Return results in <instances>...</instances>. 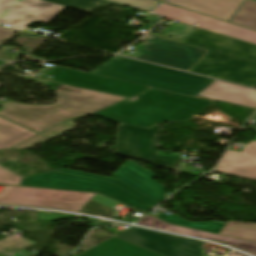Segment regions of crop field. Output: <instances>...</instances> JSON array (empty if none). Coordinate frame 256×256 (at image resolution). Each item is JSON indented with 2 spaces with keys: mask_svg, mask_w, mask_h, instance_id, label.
I'll use <instances>...</instances> for the list:
<instances>
[{
  "mask_svg": "<svg viewBox=\"0 0 256 256\" xmlns=\"http://www.w3.org/2000/svg\"><path fill=\"white\" fill-rule=\"evenodd\" d=\"M135 99H136V96H135V97L130 98L129 100L133 101V100H135Z\"/></svg>",
  "mask_w": 256,
  "mask_h": 256,
  "instance_id": "32",
  "label": "crop field"
},
{
  "mask_svg": "<svg viewBox=\"0 0 256 256\" xmlns=\"http://www.w3.org/2000/svg\"><path fill=\"white\" fill-rule=\"evenodd\" d=\"M50 72L53 76V79L46 78L47 80L128 97H132L152 88L140 84L58 66H55Z\"/></svg>",
  "mask_w": 256,
  "mask_h": 256,
  "instance_id": "11",
  "label": "crop field"
},
{
  "mask_svg": "<svg viewBox=\"0 0 256 256\" xmlns=\"http://www.w3.org/2000/svg\"><path fill=\"white\" fill-rule=\"evenodd\" d=\"M219 234L256 242V223L229 221Z\"/></svg>",
  "mask_w": 256,
  "mask_h": 256,
  "instance_id": "20",
  "label": "crop field"
},
{
  "mask_svg": "<svg viewBox=\"0 0 256 256\" xmlns=\"http://www.w3.org/2000/svg\"><path fill=\"white\" fill-rule=\"evenodd\" d=\"M18 55L6 53L5 47H0V59L12 61L15 60Z\"/></svg>",
  "mask_w": 256,
  "mask_h": 256,
  "instance_id": "29",
  "label": "crop field"
},
{
  "mask_svg": "<svg viewBox=\"0 0 256 256\" xmlns=\"http://www.w3.org/2000/svg\"><path fill=\"white\" fill-rule=\"evenodd\" d=\"M216 170L256 179V141H250L241 153L227 150Z\"/></svg>",
  "mask_w": 256,
  "mask_h": 256,
  "instance_id": "15",
  "label": "crop field"
},
{
  "mask_svg": "<svg viewBox=\"0 0 256 256\" xmlns=\"http://www.w3.org/2000/svg\"><path fill=\"white\" fill-rule=\"evenodd\" d=\"M158 130V125L150 129L120 125L115 153L178 170L180 163L178 155H156L154 134Z\"/></svg>",
  "mask_w": 256,
  "mask_h": 256,
  "instance_id": "7",
  "label": "crop field"
},
{
  "mask_svg": "<svg viewBox=\"0 0 256 256\" xmlns=\"http://www.w3.org/2000/svg\"><path fill=\"white\" fill-rule=\"evenodd\" d=\"M91 72L193 96L214 81L124 57L111 58Z\"/></svg>",
  "mask_w": 256,
  "mask_h": 256,
  "instance_id": "4",
  "label": "crop field"
},
{
  "mask_svg": "<svg viewBox=\"0 0 256 256\" xmlns=\"http://www.w3.org/2000/svg\"><path fill=\"white\" fill-rule=\"evenodd\" d=\"M77 125L75 123H73L71 120L69 121H65L45 132H43V134L49 135V136H53V137H57L73 128H75Z\"/></svg>",
  "mask_w": 256,
  "mask_h": 256,
  "instance_id": "26",
  "label": "crop field"
},
{
  "mask_svg": "<svg viewBox=\"0 0 256 256\" xmlns=\"http://www.w3.org/2000/svg\"><path fill=\"white\" fill-rule=\"evenodd\" d=\"M168 212H170V211H168ZM155 216H157L161 219H164L170 223L187 226V227H191V228H195V229L215 232V233H218L226 225V224L220 223V222H189V221H185V220L179 218L178 216H176L173 213L170 215L161 213V214H157Z\"/></svg>",
  "mask_w": 256,
  "mask_h": 256,
  "instance_id": "22",
  "label": "crop field"
},
{
  "mask_svg": "<svg viewBox=\"0 0 256 256\" xmlns=\"http://www.w3.org/2000/svg\"><path fill=\"white\" fill-rule=\"evenodd\" d=\"M55 92L59 100L54 106L20 105L8 101L0 115L40 132L63 119L89 115L127 99L64 85Z\"/></svg>",
  "mask_w": 256,
  "mask_h": 256,
  "instance_id": "3",
  "label": "crop field"
},
{
  "mask_svg": "<svg viewBox=\"0 0 256 256\" xmlns=\"http://www.w3.org/2000/svg\"><path fill=\"white\" fill-rule=\"evenodd\" d=\"M147 37L152 38L149 40L146 39ZM139 41L144 43L137 49V51L143 54L137 57V59L187 71L207 52V50L149 35Z\"/></svg>",
  "mask_w": 256,
  "mask_h": 256,
  "instance_id": "9",
  "label": "crop field"
},
{
  "mask_svg": "<svg viewBox=\"0 0 256 256\" xmlns=\"http://www.w3.org/2000/svg\"><path fill=\"white\" fill-rule=\"evenodd\" d=\"M149 34L209 50L189 72L256 88V45L199 28L183 41Z\"/></svg>",
  "mask_w": 256,
  "mask_h": 256,
  "instance_id": "1",
  "label": "crop field"
},
{
  "mask_svg": "<svg viewBox=\"0 0 256 256\" xmlns=\"http://www.w3.org/2000/svg\"><path fill=\"white\" fill-rule=\"evenodd\" d=\"M165 256H205L200 253L205 242L133 227L116 236ZM246 256L233 251L227 256Z\"/></svg>",
  "mask_w": 256,
  "mask_h": 256,
  "instance_id": "8",
  "label": "crop field"
},
{
  "mask_svg": "<svg viewBox=\"0 0 256 256\" xmlns=\"http://www.w3.org/2000/svg\"><path fill=\"white\" fill-rule=\"evenodd\" d=\"M14 32H15L14 30L0 27V40L3 38H12ZM0 45H1V43H0Z\"/></svg>",
  "mask_w": 256,
  "mask_h": 256,
  "instance_id": "30",
  "label": "crop field"
},
{
  "mask_svg": "<svg viewBox=\"0 0 256 256\" xmlns=\"http://www.w3.org/2000/svg\"><path fill=\"white\" fill-rule=\"evenodd\" d=\"M0 256H3V255H0Z\"/></svg>",
  "mask_w": 256,
  "mask_h": 256,
  "instance_id": "35",
  "label": "crop field"
},
{
  "mask_svg": "<svg viewBox=\"0 0 256 256\" xmlns=\"http://www.w3.org/2000/svg\"><path fill=\"white\" fill-rule=\"evenodd\" d=\"M95 194L6 186L0 205L36 206L79 212Z\"/></svg>",
  "mask_w": 256,
  "mask_h": 256,
  "instance_id": "6",
  "label": "crop field"
},
{
  "mask_svg": "<svg viewBox=\"0 0 256 256\" xmlns=\"http://www.w3.org/2000/svg\"><path fill=\"white\" fill-rule=\"evenodd\" d=\"M245 252H247V251H245ZM248 253H250V254H252V255L256 256V254H255V253H251V252H248Z\"/></svg>",
  "mask_w": 256,
  "mask_h": 256,
  "instance_id": "33",
  "label": "crop field"
},
{
  "mask_svg": "<svg viewBox=\"0 0 256 256\" xmlns=\"http://www.w3.org/2000/svg\"><path fill=\"white\" fill-rule=\"evenodd\" d=\"M112 176L158 203L166 198L164 186L152 179L157 175L129 159Z\"/></svg>",
  "mask_w": 256,
  "mask_h": 256,
  "instance_id": "13",
  "label": "crop field"
},
{
  "mask_svg": "<svg viewBox=\"0 0 256 256\" xmlns=\"http://www.w3.org/2000/svg\"><path fill=\"white\" fill-rule=\"evenodd\" d=\"M21 185L97 192L144 212L158 204L117 180L65 168L27 177Z\"/></svg>",
  "mask_w": 256,
  "mask_h": 256,
  "instance_id": "5",
  "label": "crop field"
},
{
  "mask_svg": "<svg viewBox=\"0 0 256 256\" xmlns=\"http://www.w3.org/2000/svg\"><path fill=\"white\" fill-rule=\"evenodd\" d=\"M2 240L3 241H0V252L8 255L36 243L34 241L12 237H7Z\"/></svg>",
  "mask_w": 256,
  "mask_h": 256,
  "instance_id": "24",
  "label": "crop field"
},
{
  "mask_svg": "<svg viewBox=\"0 0 256 256\" xmlns=\"http://www.w3.org/2000/svg\"><path fill=\"white\" fill-rule=\"evenodd\" d=\"M230 22L256 30V1L245 0Z\"/></svg>",
  "mask_w": 256,
  "mask_h": 256,
  "instance_id": "21",
  "label": "crop field"
},
{
  "mask_svg": "<svg viewBox=\"0 0 256 256\" xmlns=\"http://www.w3.org/2000/svg\"><path fill=\"white\" fill-rule=\"evenodd\" d=\"M117 3H121L127 6H131L144 11H150L156 7L161 1L157 0H111Z\"/></svg>",
  "mask_w": 256,
  "mask_h": 256,
  "instance_id": "25",
  "label": "crop field"
},
{
  "mask_svg": "<svg viewBox=\"0 0 256 256\" xmlns=\"http://www.w3.org/2000/svg\"><path fill=\"white\" fill-rule=\"evenodd\" d=\"M156 14L188 25L199 24L197 27L227 35L233 38L256 44V31L189 12L169 5H162L155 10Z\"/></svg>",
  "mask_w": 256,
  "mask_h": 256,
  "instance_id": "12",
  "label": "crop field"
},
{
  "mask_svg": "<svg viewBox=\"0 0 256 256\" xmlns=\"http://www.w3.org/2000/svg\"><path fill=\"white\" fill-rule=\"evenodd\" d=\"M65 9L42 0H0V25L24 31L35 20L49 23Z\"/></svg>",
  "mask_w": 256,
  "mask_h": 256,
  "instance_id": "10",
  "label": "crop field"
},
{
  "mask_svg": "<svg viewBox=\"0 0 256 256\" xmlns=\"http://www.w3.org/2000/svg\"><path fill=\"white\" fill-rule=\"evenodd\" d=\"M37 133L0 118V149L11 148Z\"/></svg>",
  "mask_w": 256,
  "mask_h": 256,
  "instance_id": "19",
  "label": "crop field"
},
{
  "mask_svg": "<svg viewBox=\"0 0 256 256\" xmlns=\"http://www.w3.org/2000/svg\"><path fill=\"white\" fill-rule=\"evenodd\" d=\"M23 178L0 166V184L20 185Z\"/></svg>",
  "mask_w": 256,
  "mask_h": 256,
  "instance_id": "27",
  "label": "crop field"
},
{
  "mask_svg": "<svg viewBox=\"0 0 256 256\" xmlns=\"http://www.w3.org/2000/svg\"><path fill=\"white\" fill-rule=\"evenodd\" d=\"M138 224L144 225V226H149V227H154V228H158V229L168 230V231H172V232H177V233H181V234L191 235V236H195V237L205 238V239H214L217 241L231 244L240 249L256 252V243L170 225V224H167V223L160 221L156 218H153L149 215H147L144 219H142L140 222H138Z\"/></svg>",
  "mask_w": 256,
  "mask_h": 256,
  "instance_id": "17",
  "label": "crop field"
},
{
  "mask_svg": "<svg viewBox=\"0 0 256 256\" xmlns=\"http://www.w3.org/2000/svg\"><path fill=\"white\" fill-rule=\"evenodd\" d=\"M244 0H168L174 4L197 12L229 21Z\"/></svg>",
  "mask_w": 256,
  "mask_h": 256,
  "instance_id": "16",
  "label": "crop field"
},
{
  "mask_svg": "<svg viewBox=\"0 0 256 256\" xmlns=\"http://www.w3.org/2000/svg\"><path fill=\"white\" fill-rule=\"evenodd\" d=\"M212 103L153 88L137 95L133 102L126 100L95 114L117 123L148 128L156 123L185 121Z\"/></svg>",
  "mask_w": 256,
  "mask_h": 256,
  "instance_id": "2",
  "label": "crop field"
},
{
  "mask_svg": "<svg viewBox=\"0 0 256 256\" xmlns=\"http://www.w3.org/2000/svg\"><path fill=\"white\" fill-rule=\"evenodd\" d=\"M58 5H62L65 7L81 10V11H89L96 6L108 5L111 2L104 0H45Z\"/></svg>",
  "mask_w": 256,
  "mask_h": 256,
  "instance_id": "23",
  "label": "crop field"
},
{
  "mask_svg": "<svg viewBox=\"0 0 256 256\" xmlns=\"http://www.w3.org/2000/svg\"><path fill=\"white\" fill-rule=\"evenodd\" d=\"M48 138H50V137H46V136H42V135L38 134L35 137H33V138H31V139H29V140H27V141H25V142L15 146V147L18 148V149L31 147V146H33L35 144H38V143H40V142H42V141H44V140H46Z\"/></svg>",
  "mask_w": 256,
  "mask_h": 256,
  "instance_id": "28",
  "label": "crop field"
},
{
  "mask_svg": "<svg viewBox=\"0 0 256 256\" xmlns=\"http://www.w3.org/2000/svg\"><path fill=\"white\" fill-rule=\"evenodd\" d=\"M254 119L256 120V114H255V116H254ZM253 140H256V138H254Z\"/></svg>",
  "mask_w": 256,
  "mask_h": 256,
  "instance_id": "34",
  "label": "crop field"
},
{
  "mask_svg": "<svg viewBox=\"0 0 256 256\" xmlns=\"http://www.w3.org/2000/svg\"><path fill=\"white\" fill-rule=\"evenodd\" d=\"M197 95L256 109V90L217 80Z\"/></svg>",
  "mask_w": 256,
  "mask_h": 256,
  "instance_id": "14",
  "label": "crop field"
},
{
  "mask_svg": "<svg viewBox=\"0 0 256 256\" xmlns=\"http://www.w3.org/2000/svg\"><path fill=\"white\" fill-rule=\"evenodd\" d=\"M161 1H163V0H161Z\"/></svg>",
  "mask_w": 256,
  "mask_h": 256,
  "instance_id": "36",
  "label": "crop field"
},
{
  "mask_svg": "<svg viewBox=\"0 0 256 256\" xmlns=\"http://www.w3.org/2000/svg\"><path fill=\"white\" fill-rule=\"evenodd\" d=\"M80 256H162L124 240L112 237Z\"/></svg>",
  "mask_w": 256,
  "mask_h": 256,
  "instance_id": "18",
  "label": "crop field"
},
{
  "mask_svg": "<svg viewBox=\"0 0 256 256\" xmlns=\"http://www.w3.org/2000/svg\"><path fill=\"white\" fill-rule=\"evenodd\" d=\"M8 62L0 61V66L7 64Z\"/></svg>",
  "mask_w": 256,
  "mask_h": 256,
  "instance_id": "31",
  "label": "crop field"
}]
</instances>
